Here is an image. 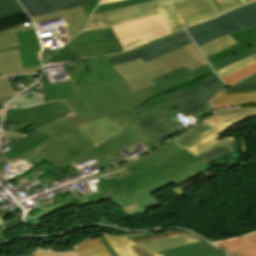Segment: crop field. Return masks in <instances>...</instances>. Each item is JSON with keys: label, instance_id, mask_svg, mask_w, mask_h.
I'll return each instance as SVG.
<instances>
[{"label": "crop field", "instance_id": "8a807250", "mask_svg": "<svg viewBox=\"0 0 256 256\" xmlns=\"http://www.w3.org/2000/svg\"><path fill=\"white\" fill-rule=\"evenodd\" d=\"M126 169L131 174L117 180L115 177L105 181L102 177L98 178V192L87 196L82 193L86 201L82 202L76 196L72 198L76 202L73 204L62 206L58 203L48 208L42 205L37 207L42 212L34 216L40 219L69 205L103 202L107 199L120 208L140 201L149 210L163 204L152 192L173 182L180 185L210 167L186 149H180L170 141Z\"/></svg>", "mask_w": 256, "mask_h": 256}, {"label": "crop field", "instance_id": "ac0d7876", "mask_svg": "<svg viewBox=\"0 0 256 256\" xmlns=\"http://www.w3.org/2000/svg\"><path fill=\"white\" fill-rule=\"evenodd\" d=\"M72 91L75 99L66 101L68 107L77 116L70 118L72 119L70 122L49 134L51 138L46 142L21 155L23 158L33 154L53 138L62 141L69 136L75 139L80 136H84L80 129L75 126L84 119H94L111 113H120L132 110L153 98L147 89L132 92L124 80L74 89ZM52 104L54 113L61 114L63 116L39 128L38 130L40 131H43L66 119L64 116L71 112L65 105L64 101H56L52 102Z\"/></svg>", "mask_w": 256, "mask_h": 256}, {"label": "crop field", "instance_id": "34b2d1b8", "mask_svg": "<svg viewBox=\"0 0 256 256\" xmlns=\"http://www.w3.org/2000/svg\"><path fill=\"white\" fill-rule=\"evenodd\" d=\"M159 13L170 32L221 14L212 0H125L98 6L84 31L113 27Z\"/></svg>", "mask_w": 256, "mask_h": 256}, {"label": "crop field", "instance_id": "412701ff", "mask_svg": "<svg viewBox=\"0 0 256 256\" xmlns=\"http://www.w3.org/2000/svg\"><path fill=\"white\" fill-rule=\"evenodd\" d=\"M207 64L194 43L144 63L141 59L116 65L114 68L132 91L154 86L150 79L184 66L191 71Z\"/></svg>", "mask_w": 256, "mask_h": 256}, {"label": "crop field", "instance_id": "f4fd0767", "mask_svg": "<svg viewBox=\"0 0 256 256\" xmlns=\"http://www.w3.org/2000/svg\"><path fill=\"white\" fill-rule=\"evenodd\" d=\"M63 67L68 81L51 83L44 76L45 102L74 98L71 89L122 79L110 64L108 56L71 61Z\"/></svg>", "mask_w": 256, "mask_h": 256}, {"label": "crop field", "instance_id": "dd49c442", "mask_svg": "<svg viewBox=\"0 0 256 256\" xmlns=\"http://www.w3.org/2000/svg\"><path fill=\"white\" fill-rule=\"evenodd\" d=\"M35 153L58 169L68 165L74 170L77 164L92 158L97 161L95 164L101 169L114 165L98 146H94L86 136L76 140L70 137L60 143L53 139Z\"/></svg>", "mask_w": 256, "mask_h": 256}, {"label": "crop field", "instance_id": "e52e79f7", "mask_svg": "<svg viewBox=\"0 0 256 256\" xmlns=\"http://www.w3.org/2000/svg\"><path fill=\"white\" fill-rule=\"evenodd\" d=\"M121 51V45L112 29H100L82 32L47 62L52 61V63H55L75 58L115 54Z\"/></svg>", "mask_w": 256, "mask_h": 256}, {"label": "crop field", "instance_id": "d8731c3e", "mask_svg": "<svg viewBox=\"0 0 256 256\" xmlns=\"http://www.w3.org/2000/svg\"><path fill=\"white\" fill-rule=\"evenodd\" d=\"M226 130H228V128L224 123L215 127L204 119L171 141L181 148H186L197 156L231 139H235L234 136H230L218 140L221 133Z\"/></svg>", "mask_w": 256, "mask_h": 256}, {"label": "crop field", "instance_id": "5a996713", "mask_svg": "<svg viewBox=\"0 0 256 256\" xmlns=\"http://www.w3.org/2000/svg\"><path fill=\"white\" fill-rule=\"evenodd\" d=\"M123 51L169 34L161 15H155L136 22L113 27Z\"/></svg>", "mask_w": 256, "mask_h": 256}, {"label": "crop field", "instance_id": "3316defc", "mask_svg": "<svg viewBox=\"0 0 256 256\" xmlns=\"http://www.w3.org/2000/svg\"><path fill=\"white\" fill-rule=\"evenodd\" d=\"M32 28L33 23L31 22L0 32V49L18 46L19 43L14 33ZM40 71L41 67L22 68L18 49L0 52V72L3 76L37 73Z\"/></svg>", "mask_w": 256, "mask_h": 256}, {"label": "crop field", "instance_id": "28ad6ade", "mask_svg": "<svg viewBox=\"0 0 256 256\" xmlns=\"http://www.w3.org/2000/svg\"><path fill=\"white\" fill-rule=\"evenodd\" d=\"M256 103V73L227 88L211 100L213 108Z\"/></svg>", "mask_w": 256, "mask_h": 256}, {"label": "crop field", "instance_id": "d1516ede", "mask_svg": "<svg viewBox=\"0 0 256 256\" xmlns=\"http://www.w3.org/2000/svg\"><path fill=\"white\" fill-rule=\"evenodd\" d=\"M198 47L239 30L226 14L186 29Z\"/></svg>", "mask_w": 256, "mask_h": 256}, {"label": "crop field", "instance_id": "22f410ed", "mask_svg": "<svg viewBox=\"0 0 256 256\" xmlns=\"http://www.w3.org/2000/svg\"><path fill=\"white\" fill-rule=\"evenodd\" d=\"M211 72L213 71L210 68L209 64L192 72H190L189 68L185 69L184 67H182L166 75L152 79L156 86L148 88V90L154 97H156L162 95L167 91L187 85ZM188 76L191 77L187 78Z\"/></svg>", "mask_w": 256, "mask_h": 256}, {"label": "crop field", "instance_id": "cbeb9de0", "mask_svg": "<svg viewBox=\"0 0 256 256\" xmlns=\"http://www.w3.org/2000/svg\"><path fill=\"white\" fill-rule=\"evenodd\" d=\"M173 108L174 106L168 103L138 124L161 143L182 130L164 115Z\"/></svg>", "mask_w": 256, "mask_h": 256}, {"label": "crop field", "instance_id": "5142ce71", "mask_svg": "<svg viewBox=\"0 0 256 256\" xmlns=\"http://www.w3.org/2000/svg\"><path fill=\"white\" fill-rule=\"evenodd\" d=\"M164 232L165 233L163 234L149 236L133 241L142 245L151 252L162 251L169 248L202 241L201 239L183 231L164 230Z\"/></svg>", "mask_w": 256, "mask_h": 256}, {"label": "crop field", "instance_id": "d9b57169", "mask_svg": "<svg viewBox=\"0 0 256 256\" xmlns=\"http://www.w3.org/2000/svg\"><path fill=\"white\" fill-rule=\"evenodd\" d=\"M190 43H192L191 38L189 37L187 32H184L180 35H177L173 38H170L161 43L145 48L143 50L137 51L133 54L112 58L110 60L112 65L139 59V58H141L144 62H146L150 59H153L157 56H160L162 54H165L169 51H172L174 49H177L179 47H182Z\"/></svg>", "mask_w": 256, "mask_h": 256}, {"label": "crop field", "instance_id": "733c2abd", "mask_svg": "<svg viewBox=\"0 0 256 256\" xmlns=\"http://www.w3.org/2000/svg\"><path fill=\"white\" fill-rule=\"evenodd\" d=\"M112 114L102 118L82 121L77 126L81 131L91 140L95 145L102 141H105L119 133H121L122 128L115 124L114 122L122 115ZM117 130V131H115Z\"/></svg>", "mask_w": 256, "mask_h": 256}, {"label": "crop field", "instance_id": "4a817a6b", "mask_svg": "<svg viewBox=\"0 0 256 256\" xmlns=\"http://www.w3.org/2000/svg\"><path fill=\"white\" fill-rule=\"evenodd\" d=\"M60 117L53 114L51 102L22 109H7L4 122H29L36 129Z\"/></svg>", "mask_w": 256, "mask_h": 256}, {"label": "crop field", "instance_id": "bc2a9ffb", "mask_svg": "<svg viewBox=\"0 0 256 256\" xmlns=\"http://www.w3.org/2000/svg\"><path fill=\"white\" fill-rule=\"evenodd\" d=\"M21 46L0 51L19 48L23 67L41 66L40 44L35 29L16 34Z\"/></svg>", "mask_w": 256, "mask_h": 256}, {"label": "crop field", "instance_id": "214f88e0", "mask_svg": "<svg viewBox=\"0 0 256 256\" xmlns=\"http://www.w3.org/2000/svg\"><path fill=\"white\" fill-rule=\"evenodd\" d=\"M60 16H63L66 23L68 24V26H64L66 29L65 32L67 34L66 36L68 38V41L82 31V28L85 26L88 18L82 6H80V7L72 8L65 11L61 10V11L33 17L32 20L36 22V21L46 20V19L60 17ZM64 44L65 43H63V45Z\"/></svg>", "mask_w": 256, "mask_h": 256}, {"label": "crop field", "instance_id": "92a150f3", "mask_svg": "<svg viewBox=\"0 0 256 256\" xmlns=\"http://www.w3.org/2000/svg\"><path fill=\"white\" fill-rule=\"evenodd\" d=\"M138 142L149 150L154 147L146 139L128 126L123 129L121 134L108 141L98 144V146L107 156H109Z\"/></svg>", "mask_w": 256, "mask_h": 256}, {"label": "crop field", "instance_id": "dafd665d", "mask_svg": "<svg viewBox=\"0 0 256 256\" xmlns=\"http://www.w3.org/2000/svg\"><path fill=\"white\" fill-rule=\"evenodd\" d=\"M215 77H217V75H216L215 72H213V73H211V74L193 82L190 85H187V86L181 87L179 89H176V90L170 91L168 93H165L164 95L156 97V98L152 99L151 101L145 103L143 106L134 109L137 123L139 121H141L143 118H145L146 116H148L150 113L155 111L157 108L166 104L168 99H170V98H172V97H174L178 94H181V93H183V92H185L189 89H192V88H194V87H196V86H198V85H200V84H202V83H204V82H206L210 79H213Z\"/></svg>", "mask_w": 256, "mask_h": 256}, {"label": "crop field", "instance_id": "00972430", "mask_svg": "<svg viewBox=\"0 0 256 256\" xmlns=\"http://www.w3.org/2000/svg\"><path fill=\"white\" fill-rule=\"evenodd\" d=\"M29 15L36 16L60 9H69L81 5L87 0H19Z\"/></svg>", "mask_w": 256, "mask_h": 256}, {"label": "crop field", "instance_id": "a9b5d70f", "mask_svg": "<svg viewBox=\"0 0 256 256\" xmlns=\"http://www.w3.org/2000/svg\"><path fill=\"white\" fill-rule=\"evenodd\" d=\"M230 36L238 43L217 54L207 57V60L211 65L218 63L254 44L256 42V27L231 34Z\"/></svg>", "mask_w": 256, "mask_h": 256}, {"label": "crop field", "instance_id": "4177f3b9", "mask_svg": "<svg viewBox=\"0 0 256 256\" xmlns=\"http://www.w3.org/2000/svg\"><path fill=\"white\" fill-rule=\"evenodd\" d=\"M164 256H227L228 254L202 241L188 246L177 247L162 252Z\"/></svg>", "mask_w": 256, "mask_h": 256}, {"label": "crop field", "instance_id": "730fd06b", "mask_svg": "<svg viewBox=\"0 0 256 256\" xmlns=\"http://www.w3.org/2000/svg\"><path fill=\"white\" fill-rule=\"evenodd\" d=\"M250 117H256V108L222 110L205 119L215 126L224 122L227 127H230Z\"/></svg>", "mask_w": 256, "mask_h": 256}, {"label": "crop field", "instance_id": "eef30255", "mask_svg": "<svg viewBox=\"0 0 256 256\" xmlns=\"http://www.w3.org/2000/svg\"><path fill=\"white\" fill-rule=\"evenodd\" d=\"M216 244L237 256H256V233Z\"/></svg>", "mask_w": 256, "mask_h": 256}, {"label": "crop field", "instance_id": "ae1a2a85", "mask_svg": "<svg viewBox=\"0 0 256 256\" xmlns=\"http://www.w3.org/2000/svg\"><path fill=\"white\" fill-rule=\"evenodd\" d=\"M226 14L240 31L256 26V2L231 10Z\"/></svg>", "mask_w": 256, "mask_h": 256}, {"label": "crop field", "instance_id": "d3111659", "mask_svg": "<svg viewBox=\"0 0 256 256\" xmlns=\"http://www.w3.org/2000/svg\"><path fill=\"white\" fill-rule=\"evenodd\" d=\"M226 87L227 86L222 82V80L219 77H217L192 89V91L210 112L212 111V108L208 101Z\"/></svg>", "mask_w": 256, "mask_h": 256}, {"label": "crop field", "instance_id": "750c4746", "mask_svg": "<svg viewBox=\"0 0 256 256\" xmlns=\"http://www.w3.org/2000/svg\"><path fill=\"white\" fill-rule=\"evenodd\" d=\"M170 101L181 109L187 116L205 108L191 90L170 99Z\"/></svg>", "mask_w": 256, "mask_h": 256}, {"label": "crop field", "instance_id": "bd1437ed", "mask_svg": "<svg viewBox=\"0 0 256 256\" xmlns=\"http://www.w3.org/2000/svg\"><path fill=\"white\" fill-rule=\"evenodd\" d=\"M77 251L81 256H111L99 238L78 245Z\"/></svg>", "mask_w": 256, "mask_h": 256}, {"label": "crop field", "instance_id": "1d83c4d3", "mask_svg": "<svg viewBox=\"0 0 256 256\" xmlns=\"http://www.w3.org/2000/svg\"><path fill=\"white\" fill-rule=\"evenodd\" d=\"M115 123L120 125L122 128L129 125L139 134L145 137L154 146L160 144L154 138H152L145 130H143L138 124H136L134 111L125 112Z\"/></svg>", "mask_w": 256, "mask_h": 256}, {"label": "crop field", "instance_id": "120bbe31", "mask_svg": "<svg viewBox=\"0 0 256 256\" xmlns=\"http://www.w3.org/2000/svg\"><path fill=\"white\" fill-rule=\"evenodd\" d=\"M237 43L234 39H232L229 35L220 38L216 41H213L209 44H206L199 49L205 55V57L217 53L233 44Z\"/></svg>", "mask_w": 256, "mask_h": 256}, {"label": "crop field", "instance_id": "d32e631a", "mask_svg": "<svg viewBox=\"0 0 256 256\" xmlns=\"http://www.w3.org/2000/svg\"><path fill=\"white\" fill-rule=\"evenodd\" d=\"M109 244L113 247L118 256H136L128 247L135 245L134 243L124 239L123 237L104 236Z\"/></svg>", "mask_w": 256, "mask_h": 256}, {"label": "crop field", "instance_id": "5866460e", "mask_svg": "<svg viewBox=\"0 0 256 256\" xmlns=\"http://www.w3.org/2000/svg\"><path fill=\"white\" fill-rule=\"evenodd\" d=\"M235 143H236L235 140H231V141H229L215 149H212L208 152H205L197 157L200 158L202 161H204L207 164L225 154L233 153L234 150L231 145H233Z\"/></svg>", "mask_w": 256, "mask_h": 256}, {"label": "crop field", "instance_id": "028f5c9d", "mask_svg": "<svg viewBox=\"0 0 256 256\" xmlns=\"http://www.w3.org/2000/svg\"><path fill=\"white\" fill-rule=\"evenodd\" d=\"M31 22L25 11L0 18V31Z\"/></svg>", "mask_w": 256, "mask_h": 256}, {"label": "crop field", "instance_id": "e1f06a70", "mask_svg": "<svg viewBox=\"0 0 256 256\" xmlns=\"http://www.w3.org/2000/svg\"><path fill=\"white\" fill-rule=\"evenodd\" d=\"M68 121H70V120H69V119H66V120H64V121H62V122H60V123H58V124L52 126L51 128H49V129L43 131V132H39V131H37V130L35 129V130H33V131H31V132L25 134L24 136L15 139V147L10 148V150L4 152V155L7 154V153H9V152H11L12 150H14V149H16V148L22 146V145H24L25 143H27V142L33 140L34 138H36V137H38V136H40V135H42V134H44V133L48 134V133H50V132L56 130L57 128H59L60 126L64 125V124L67 123Z\"/></svg>", "mask_w": 256, "mask_h": 256}, {"label": "crop field", "instance_id": "0bd39190", "mask_svg": "<svg viewBox=\"0 0 256 256\" xmlns=\"http://www.w3.org/2000/svg\"><path fill=\"white\" fill-rule=\"evenodd\" d=\"M255 62H256V53H254V54H252V55H250V56H248L244 59H241V60H239V61H237V62H235V63H233V64H231L227 67H224V68H222V69H220L216 72L219 75V77L223 78V77H225V76H227V75H229V74H231V73H233V72H235V71H237V70H239L243 67H246L250 64H253Z\"/></svg>", "mask_w": 256, "mask_h": 256}, {"label": "crop field", "instance_id": "b80d0937", "mask_svg": "<svg viewBox=\"0 0 256 256\" xmlns=\"http://www.w3.org/2000/svg\"><path fill=\"white\" fill-rule=\"evenodd\" d=\"M48 138H50V137L48 135L44 134V135L34 139L33 141L25 144L24 146L16 149L15 151H13V152L5 155V156H6L7 160L12 159L14 157H17V156L23 154L24 152H26V151H28V150H30V149L40 145L41 143H43Z\"/></svg>", "mask_w": 256, "mask_h": 256}, {"label": "crop field", "instance_id": "c035e120", "mask_svg": "<svg viewBox=\"0 0 256 256\" xmlns=\"http://www.w3.org/2000/svg\"><path fill=\"white\" fill-rule=\"evenodd\" d=\"M254 52H256V43L254 45H252L251 47L243 50L242 52H240V53H238V54H236V55H234V56H232V57H230V58H228V59H226V60H224V61H222L218 64L213 65L212 67L216 71V70H218V69H220L224 66H227V65H229V64H231V63H233V62H235V61H237L241 58H244V57H246V56H248V55H250Z\"/></svg>", "mask_w": 256, "mask_h": 256}, {"label": "crop field", "instance_id": "c21b1889", "mask_svg": "<svg viewBox=\"0 0 256 256\" xmlns=\"http://www.w3.org/2000/svg\"><path fill=\"white\" fill-rule=\"evenodd\" d=\"M254 72H256V63L253 65H250L232 75H229V76L223 78V80L227 85H231V84L247 77L248 75H250Z\"/></svg>", "mask_w": 256, "mask_h": 256}, {"label": "crop field", "instance_id": "03da06ac", "mask_svg": "<svg viewBox=\"0 0 256 256\" xmlns=\"http://www.w3.org/2000/svg\"><path fill=\"white\" fill-rule=\"evenodd\" d=\"M23 11L16 0H0V17Z\"/></svg>", "mask_w": 256, "mask_h": 256}, {"label": "crop field", "instance_id": "b54c1fbb", "mask_svg": "<svg viewBox=\"0 0 256 256\" xmlns=\"http://www.w3.org/2000/svg\"><path fill=\"white\" fill-rule=\"evenodd\" d=\"M20 91H13L9 77H0V99L10 98Z\"/></svg>", "mask_w": 256, "mask_h": 256}, {"label": "crop field", "instance_id": "5d738f31", "mask_svg": "<svg viewBox=\"0 0 256 256\" xmlns=\"http://www.w3.org/2000/svg\"><path fill=\"white\" fill-rule=\"evenodd\" d=\"M217 4V6L220 8L222 13L235 8L237 6H240L245 3H249V0H214Z\"/></svg>", "mask_w": 256, "mask_h": 256}, {"label": "crop field", "instance_id": "d23c7cc5", "mask_svg": "<svg viewBox=\"0 0 256 256\" xmlns=\"http://www.w3.org/2000/svg\"><path fill=\"white\" fill-rule=\"evenodd\" d=\"M184 31H185V30L177 31V32L172 33V34H170V35H168V36H165V37H163V38H160V39H157V40H155V41H152V42H150V43H148V44H146V45H142V46H140V47H138V48H136V49H134V50H131V51H128V52H125V53H121V54L110 55L109 57L112 58V57H116V56H120V55H125V54H129V53H133V52H135V51H137V50H140V49H142V48H145V47H148V46H150V45H153V44H156V43H158V42H161V41H163V40H165V39H168V38H170V37H173V36H175V35H177V34H180V33L184 32Z\"/></svg>", "mask_w": 256, "mask_h": 256}, {"label": "crop field", "instance_id": "425ffa30", "mask_svg": "<svg viewBox=\"0 0 256 256\" xmlns=\"http://www.w3.org/2000/svg\"><path fill=\"white\" fill-rule=\"evenodd\" d=\"M100 0H91L81 3L87 15L89 16Z\"/></svg>", "mask_w": 256, "mask_h": 256}, {"label": "crop field", "instance_id": "25e5ab78", "mask_svg": "<svg viewBox=\"0 0 256 256\" xmlns=\"http://www.w3.org/2000/svg\"><path fill=\"white\" fill-rule=\"evenodd\" d=\"M142 157H144V156H142ZM142 157H140V158H142ZM140 158H137V159H135V160H133V161H129V162H127V163H125V164H122V165H119V166H117V167L111 168V169H109V170H107V171H105V172H102V173L98 174V175L91 176V178L96 177V176H100V175H105V174H108V173H110V172H112V171H117V170H119V169H123L124 167L130 165L131 163H133V162H135V161H137V160H139Z\"/></svg>", "mask_w": 256, "mask_h": 256}, {"label": "crop field", "instance_id": "73cf0c24", "mask_svg": "<svg viewBox=\"0 0 256 256\" xmlns=\"http://www.w3.org/2000/svg\"><path fill=\"white\" fill-rule=\"evenodd\" d=\"M130 249L138 256H153L151 253L147 252L146 250L142 249L137 245L130 247Z\"/></svg>", "mask_w": 256, "mask_h": 256}, {"label": "crop field", "instance_id": "89e229c0", "mask_svg": "<svg viewBox=\"0 0 256 256\" xmlns=\"http://www.w3.org/2000/svg\"><path fill=\"white\" fill-rule=\"evenodd\" d=\"M34 255L35 256H75V254L73 253L56 255V254L45 253V252L35 253Z\"/></svg>", "mask_w": 256, "mask_h": 256}, {"label": "crop field", "instance_id": "1f2cbd36", "mask_svg": "<svg viewBox=\"0 0 256 256\" xmlns=\"http://www.w3.org/2000/svg\"><path fill=\"white\" fill-rule=\"evenodd\" d=\"M101 241L103 242V244L106 246V248L108 249V251L112 254V256H117V254L114 252V250L112 249V247L108 244V242L104 239V237L100 238Z\"/></svg>", "mask_w": 256, "mask_h": 256}, {"label": "crop field", "instance_id": "dbb93151", "mask_svg": "<svg viewBox=\"0 0 256 256\" xmlns=\"http://www.w3.org/2000/svg\"><path fill=\"white\" fill-rule=\"evenodd\" d=\"M127 174H129V172L126 169L113 173V175L117 178L127 175Z\"/></svg>", "mask_w": 256, "mask_h": 256}, {"label": "crop field", "instance_id": "0fb4a251", "mask_svg": "<svg viewBox=\"0 0 256 256\" xmlns=\"http://www.w3.org/2000/svg\"><path fill=\"white\" fill-rule=\"evenodd\" d=\"M2 133L9 134V135H11L13 137H19V136L23 135V134H20L18 132H10V131H4V130H3Z\"/></svg>", "mask_w": 256, "mask_h": 256}, {"label": "crop field", "instance_id": "1d79db26", "mask_svg": "<svg viewBox=\"0 0 256 256\" xmlns=\"http://www.w3.org/2000/svg\"><path fill=\"white\" fill-rule=\"evenodd\" d=\"M149 235H152V234H145V235H140V236H129L126 238L132 240V239H137V238H141V237H145V236H149Z\"/></svg>", "mask_w": 256, "mask_h": 256}, {"label": "crop field", "instance_id": "9d1cf04e", "mask_svg": "<svg viewBox=\"0 0 256 256\" xmlns=\"http://www.w3.org/2000/svg\"><path fill=\"white\" fill-rule=\"evenodd\" d=\"M115 1H120V0H102L101 4H105V3H110V2H115Z\"/></svg>", "mask_w": 256, "mask_h": 256}, {"label": "crop field", "instance_id": "447ae74e", "mask_svg": "<svg viewBox=\"0 0 256 256\" xmlns=\"http://www.w3.org/2000/svg\"><path fill=\"white\" fill-rule=\"evenodd\" d=\"M37 252H39V251H37ZM46 252L55 253V252H52V251H46ZM72 252H74L77 256H80L76 251H72ZM33 253H35V252H33ZM65 253H71V252H65ZM56 254H60V253H56Z\"/></svg>", "mask_w": 256, "mask_h": 256}, {"label": "crop field", "instance_id": "0765c3eb", "mask_svg": "<svg viewBox=\"0 0 256 256\" xmlns=\"http://www.w3.org/2000/svg\"><path fill=\"white\" fill-rule=\"evenodd\" d=\"M57 50H51V52H56ZM46 54V52H43L42 53V59H43V57H44V55Z\"/></svg>", "mask_w": 256, "mask_h": 256}, {"label": "crop field", "instance_id": "db79e9e6", "mask_svg": "<svg viewBox=\"0 0 256 256\" xmlns=\"http://www.w3.org/2000/svg\"><path fill=\"white\" fill-rule=\"evenodd\" d=\"M255 105H256V104H255ZM243 106H247V105H243ZM229 107H234V106H229ZM229 107H220V108H216L215 110L221 109V108H229Z\"/></svg>", "mask_w": 256, "mask_h": 256}, {"label": "crop field", "instance_id": "7b73153f", "mask_svg": "<svg viewBox=\"0 0 256 256\" xmlns=\"http://www.w3.org/2000/svg\"><path fill=\"white\" fill-rule=\"evenodd\" d=\"M4 110V109H3ZM3 110H0V118H2Z\"/></svg>", "mask_w": 256, "mask_h": 256}, {"label": "crop field", "instance_id": "78b8030e", "mask_svg": "<svg viewBox=\"0 0 256 256\" xmlns=\"http://www.w3.org/2000/svg\"><path fill=\"white\" fill-rule=\"evenodd\" d=\"M22 256H34L32 253L30 254H26V255H22Z\"/></svg>", "mask_w": 256, "mask_h": 256}, {"label": "crop field", "instance_id": "0f1d7ab4", "mask_svg": "<svg viewBox=\"0 0 256 256\" xmlns=\"http://www.w3.org/2000/svg\"><path fill=\"white\" fill-rule=\"evenodd\" d=\"M1 225H4V223H3V221L0 219V226H1Z\"/></svg>", "mask_w": 256, "mask_h": 256}, {"label": "crop field", "instance_id": "e1d0b9f6", "mask_svg": "<svg viewBox=\"0 0 256 256\" xmlns=\"http://www.w3.org/2000/svg\"><path fill=\"white\" fill-rule=\"evenodd\" d=\"M154 254V256H163V255H160V254H156V253H153Z\"/></svg>", "mask_w": 256, "mask_h": 256}, {"label": "crop field", "instance_id": "ae633e8c", "mask_svg": "<svg viewBox=\"0 0 256 256\" xmlns=\"http://www.w3.org/2000/svg\"><path fill=\"white\" fill-rule=\"evenodd\" d=\"M5 228V227H4ZM3 228L0 229V231L2 230Z\"/></svg>", "mask_w": 256, "mask_h": 256}, {"label": "crop field", "instance_id": "d14b1444", "mask_svg": "<svg viewBox=\"0 0 256 256\" xmlns=\"http://www.w3.org/2000/svg\"><path fill=\"white\" fill-rule=\"evenodd\" d=\"M0 109H2V107H0Z\"/></svg>", "mask_w": 256, "mask_h": 256}, {"label": "crop field", "instance_id": "c39391a2", "mask_svg": "<svg viewBox=\"0 0 256 256\" xmlns=\"http://www.w3.org/2000/svg\"><path fill=\"white\" fill-rule=\"evenodd\" d=\"M0 76H1V74H0Z\"/></svg>", "mask_w": 256, "mask_h": 256}, {"label": "crop field", "instance_id": "ade564c9", "mask_svg": "<svg viewBox=\"0 0 256 256\" xmlns=\"http://www.w3.org/2000/svg\"><path fill=\"white\" fill-rule=\"evenodd\" d=\"M251 1H253V0H251Z\"/></svg>", "mask_w": 256, "mask_h": 256}]
</instances>
